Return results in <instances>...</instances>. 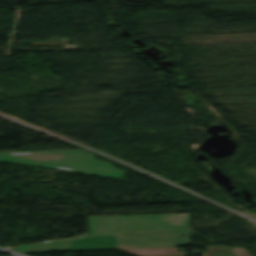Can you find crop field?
I'll return each instance as SVG.
<instances>
[{
    "label": "crop field",
    "instance_id": "crop-field-3",
    "mask_svg": "<svg viewBox=\"0 0 256 256\" xmlns=\"http://www.w3.org/2000/svg\"><path fill=\"white\" fill-rule=\"evenodd\" d=\"M117 248L116 236L76 238L74 240L62 239L45 241L39 244L24 245L11 250L21 253L89 250Z\"/></svg>",
    "mask_w": 256,
    "mask_h": 256
},
{
    "label": "crop field",
    "instance_id": "crop-field-5",
    "mask_svg": "<svg viewBox=\"0 0 256 256\" xmlns=\"http://www.w3.org/2000/svg\"><path fill=\"white\" fill-rule=\"evenodd\" d=\"M207 249L208 252L202 253V256H235L224 245L207 246ZM174 256H183V254Z\"/></svg>",
    "mask_w": 256,
    "mask_h": 256
},
{
    "label": "crop field",
    "instance_id": "crop-field-6",
    "mask_svg": "<svg viewBox=\"0 0 256 256\" xmlns=\"http://www.w3.org/2000/svg\"><path fill=\"white\" fill-rule=\"evenodd\" d=\"M229 250L232 251L236 256H251L245 252L244 248H230Z\"/></svg>",
    "mask_w": 256,
    "mask_h": 256
},
{
    "label": "crop field",
    "instance_id": "crop-field-4",
    "mask_svg": "<svg viewBox=\"0 0 256 256\" xmlns=\"http://www.w3.org/2000/svg\"><path fill=\"white\" fill-rule=\"evenodd\" d=\"M131 254L138 256H162L175 253H181L176 250L175 247H165V248H146V249H127L122 250Z\"/></svg>",
    "mask_w": 256,
    "mask_h": 256
},
{
    "label": "crop field",
    "instance_id": "crop-field-1",
    "mask_svg": "<svg viewBox=\"0 0 256 256\" xmlns=\"http://www.w3.org/2000/svg\"><path fill=\"white\" fill-rule=\"evenodd\" d=\"M84 150L0 153V161L42 166L121 179L124 171Z\"/></svg>",
    "mask_w": 256,
    "mask_h": 256
},
{
    "label": "crop field",
    "instance_id": "crop-field-2",
    "mask_svg": "<svg viewBox=\"0 0 256 256\" xmlns=\"http://www.w3.org/2000/svg\"><path fill=\"white\" fill-rule=\"evenodd\" d=\"M89 236L116 231L189 228V214L88 217Z\"/></svg>",
    "mask_w": 256,
    "mask_h": 256
}]
</instances>
